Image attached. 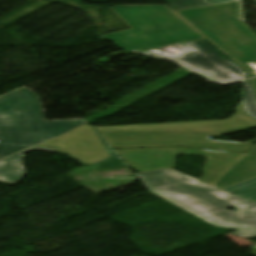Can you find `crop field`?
Returning <instances> with one entry per match:
<instances>
[{"mask_svg": "<svg viewBox=\"0 0 256 256\" xmlns=\"http://www.w3.org/2000/svg\"><path fill=\"white\" fill-rule=\"evenodd\" d=\"M152 193L171 197L215 226L256 231V204L173 169L135 174ZM234 208L228 211L225 209Z\"/></svg>", "mask_w": 256, "mask_h": 256, "instance_id": "obj_1", "label": "crop field"}, {"mask_svg": "<svg viewBox=\"0 0 256 256\" xmlns=\"http://www.w3.org/2000/svg\"><path fill=\"white\" fill-rule=\"evenodd\" d=\"M111 9L131 29L104 37L123 50H147L204 38L166 6H118Z\"/></svg>", "mask_w": 256, "mask_h": 256, "instance_id": "obj_2", "label": "crop field"}, {"mask_svg": "<svg viewBox=\"0 0 256 256\" xmlns=\"http://www.w3.org/2000/svg\"><path fill=\"white\" fill-rule=\"evenodd\" d=\"M176 13L250 74L256 75V34L241 21L238 1Z\"/></svg>", "mask_w": 256, "mask_h": 256, "instance_id": "obj_3", "label": "crop field"}, {"mask_svg": "<svg viewBox=\"0 0 256 256\" xmlns=\"http://www.w3.org/2000/svg\"><path fill=\"white\" fill-rule=\"evenodd\" d=\"M83 120L44 121L40 99L27 88L0 97V142L33 146L69 132Z\"/></svg>", "mask_w": 256, "mask_h": 256, "instance_id": "obj_4", "label": "crop field"}, {"mask_svg": "<svg viewBox=\"0 0 256 256\" xmlns=\"http://www.w3.org/2000/svg\"><path fill=\"white\" fill-rule=\"evenodd\" d=\"M125 163L139 172L158 170L175 167L174 157L177 154H194L208 157L203 171L204 175L200 180L211 184L227 169H229L244 154L195 150L187 148H164V149H132V150H115ZM218 171L219 173L209 170ZM214 183V182H213ZM212 183V184H213Z\"/></svg>", "mask_w": 256, "mask_h": 256, "instance_id": "obj_5", "label": "crop field"}, {"mask_svg": "<svg viewBox=\"0 0 256 256\" xmlns=\"http://www.w3.org/2000/svg\"><path fill=\"white\" fill-rule=\"evenodd\" d=\"M111 148L186 146L246 152L253 144L207 139L220 133L100 132Z\"/></svg>", "mask_w": 256, "mask_h": 256, "instance_id": "obj_6", "label": "crop field"}, {"mask_svg": "<svg viewBox=\"0 0 256 256\" xmlns=\"http://www.w3.org/2000/svg\"><path fill=\"white\" fill-rule=\"evenodd\" d=\"M180 45L190 51L174 57H166L147 51L139 53L173 60L220 84L236 83L251 77L206 39L181 43Z\"/></svg>", "mask_w": 256, "mask_h": 256, "instance_id": "obj_7", "label": "crop field"}, {"mask_svg": "<svg viewBox=\"0 0 256 256\" xmlns=\"http://www.w3.org/2000/svg\"><path fill=\"white\" fill-rule=\"evenodd\" d=\"M235 115L222 120L95 127L98 131L220 132L223 135L256 128V120L245 114L241 102Z\"/></svg>", "mask_w": 256, "mask_h": 256, "instance_id": "obj_8", "label": "crop field"}, {"mask_svg": "<svg viewBox=\"0 0 256 256\" xmlns=\"http://www.w3.org/2000/svg\"><path fill=\"white\" fill-rule=\"evenodd\" d=\"M30 3L1 17L0 23L7 26L55 1L66 4L68 6L82 10L86 16L92 21L94 26L98 27L96 31L90 33L84 38L95 34L101 35L106 32H115L129 28V26L118 17L110 8H104V6H85L79 0H28ZM27 1V2H28ZM102 8L103 16V26L100 27V12L99 9Z\"/></svg>", "mask_w": 256, "mask_h": 256, "instance_id": "obj_9", "label": "crop field"}, {"mask_svg": "<svg viewBox=\"0 0 256 256\" xmlns=\"http://www.w3.org/2000/svg\"><path fill=\"white\" fill-rule=\"evenodd\" d=\"M253 177H256V146L211 185L223 189Z\"/></svg>", "mask_w": 256, "mask_h": 256, "instance_id": "obj_10", "label": "crop field"}, {"mask_svg": "<svg viewBox=\"0 0 256 256\" xmlns=\"http://www.w3.org/2000/svg\"><path fill=\"white\" fill-rule=\"evenodd\" d=\"M39 146L61 148V149L104 148V146L102 145V143L100 142V140L98 139V137L96 136L92 128L89 126H83L80 129L70 134H67L63 137H60L58 139H55L53 141L47 142Z\"/></svg>", "mask_w": 256, "mask_h": 256, "instance_id": "obj_11", "label": "crop field"}, {"mask_svg": "<svg viewBox=\"0 0 256 256\" xmlns=\"http://www.w3.org/2000/svg\"><path fill=\"white\" fill-rule=\"evenodd\" d=\"M31 150L46 151V152L56 151L54 149L34 147L28 151H24L22 153L16 154L14 156H11L9 158H6L0 161V181L1 182L13 186L24 177L25 170L21 168L23 154Z\"/></svg>", "mask_w": 256, "mask_h": 256, "instance_id": "obj_12", "label": "crop field"}, {"mask_svg": "<svg viewBox=\"0 0 256 256\" xmlns=\"http://www.w3.org/2000/svg\"><path fill=\"white\" fill-rule=\"evenodd\" d=\"M56 153H62V154L71 156L77 159L83 165H89L93 162L103 160L110 156L105 149H98V150H60L59 149Z\"/></svg>", "mask_w": 256, "mask_h": 256, "instance_id": "obj_13", "label": "crop field"}, {"mask_svg": "<svg viewBox=\"0 0 256 256\" xmlns=\"http://www.w3.org/2000/svg\"><path fill=\"white\" fill-rule=\"evenodd\" d=\"M223 190L256 203V178L228 187Z\"/></svg>", "mask_w": 256, "mask_h": 256, "instance_id": "obj_14", "label": "crop field"}, {"mask_svg": "<svg viewBox=\"0 0 256 256\" xmlns=\"http://www.w3.org/2000/svg\"><path fill=\"white\" fill-rule=\"evenodd\" d=\"M244 88L240 90L242 103L246 114L256 119V94L250 81H244Z\"/></svg>", "mask_w": 256, "mask_h": 256, "instance_id": "obj_15", "label": "crop field"}, {"mask_svg": "<svg viewBox=\"0 0 256 256\" xmlns=\"http://www.w3.org/2000/svg\"><path fill=\"white\" fill-rule=\"evenodd\" d=\"M93 130L95 131V133L97 134V136L99 137V139L101 140V142L103 143V145L105 146L106 150L108 151V153L111 155L110 158L100 161V162H96V166L98 168V170H104V169H113V168H123L126 167L124 165V163L119 159V157L114 153V151L109 147V145L106 143V141L103 139V137L100 135V133L93 128Z\"/></svg>", "mask_w": 256, "mask_h": 256, "instance_id": "obj_16", "label": "crop field"}, {"mask_svg": "<svg viewBox=\"0 0 256 256\" xmlns=\"http://www.w3.org/2000/svg\"><path fill=\"white\" fill-rule=\"evenodd\" d=\"M169 3V7L173 11L207 6L209 5L208 1L206 0H167Z\"/></svg>", "mask_w": 256, "mask_h": 256, "instance_id": "obj_17", "label": "crop field"}, {"mask_svg": "<svg viewBox=\"0 0 256 256\" xmlns=\"http://www.w3.org/2000/svg\"><path fill=\"white\" fill-rule=\"evenodd\" d=\"M25 148L27 147L0 144V157L11 155Z\"/></svg>", "mask_w": 256, "mask_h": 256, "instance_id": "obj_18", "label": "crop field"}, {"mask_svg": "<svg viewBox=\"0 0 256 256\" xmlns=\"http://www.w3.org/2000/svg\"><path fill=\"white\" fill-rule=\"evenodd\" d=\"M231 234L249 239V238H253L256 236V232H251V231H243V230H237Z\"/></svg>", "mask_w": 256, "mask_h": 256, "instance_id": "obj_19", "label": "crop field"}, {"mask_svg": "<svg viewBox=\"0 0 256 256\" xmlns=\"http://www.w3.org/2000/svg\"><path fill=\"white\" fill-rule=\"evenodd\" d=\"M166 200L171 202V203H173V204H175V205H177V206H179V207H181V208H183L186 211H189V209H190L189 207H187V206H185V205H183V204H181V203H179V202H177V201H175V200H173L171 198H168Z\"/></svg>", "mask_w": 256, "mask_h": 256, "instance_id": "obj_20", "label": "crop field"}, {"mask_svg": "<svg viewBox=\"0 0 256 256\" xmlns=\"http://www.w3.org/2000/svg\"><path fill=\"white\" fill-rule=\"evenodd\" d=\"M230 1H236V0H211V3L212 5H214V4H220V3L230 2Z\"/></svg>", "mask_w": 256, "mask_h": 256, "instance_id": "obj_21", "label": "crop field"}, {"mask_svg": "<svg viewBox=\"0 0 256 256\" xmlns=\"http://www.w3.org/2000/svg\"><path fill=\"white\" fill-rule=\"evenodd\" d=\"M252 81H253L254 87H255V89H256V78H255V79H252Z\"/></svg>", "mask_w": 256, "mask_h": 256, "instance_id": "obj_22", "label": "crop field"}]
</instances>
